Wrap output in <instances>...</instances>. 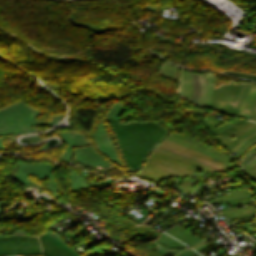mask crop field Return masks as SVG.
<instances>
[{
    "label": "crop field",
    "mask_w": 256,
    "mask_h": 256,
    "mask_svg": "<svg viewBox=\"0 0 256 256\" xmlns=\"http://www.w3.org/2000/svg\"><path fill=\"white\" fill-rule=\"evenodd\" d=\"M108 120L126 164L135 171L148 151L167 133L154 122L119 125L110 116Z\"/></svg>",
    "instance_id": "obj_1"
},
{
    "label": "crop field",
    "mask_w": 256,
    "mask_h": 256,
    "mask_svg": "<svg viewBox=\"0 0 256 256\" xmlns=\"http://www.w3.org/2000/svg\"><path fill=\"white\" fill-rule=\"evenodd\" d=\"M165 140H166V141H169V140H167V139H165ZM169 142H172V141H169ZM169 142L163 141V142L161 143V145H164V146H166V147H169V148L175 149V150H177V151L186 153V154H188V155L194 156V157L199 158V159H201V160H203V161H207V162L213 164L214 166H216V167H217L218 169H220L221 171L227 169V168H226V167H227L226 165H225V166H226V167H225V166H223L224 164L222 165V164H220V163H218V162H216V161H213V160H211V159H209V158H207V157L201 155L202 153L199 154L200 152H199V153H196V152H198V151L193 152V151H195V150L191 149V150H193V151H191V150H188V149H190V148H188V147L183 146V147H185V148H188V149H185V148H183V147H180V146H182V145H180V144H177V143H175V142H172V143H174V144L180 145V146H177V145H174V144L169 143ZM158 147L163 148V147H161V146H158ZM163 149H166V148H163ZM163 149H162V150H163ZM166 150H168V149H166ZM166 150H165V151H166ZM156 151L161 152V153H164V154L169 155V156H171V157L180 159V158H178V157H175V156H173V155L167 154V153L162 152V151H160V150H157V149H156ZM156 151H154L151 156H154V157H156V158L162 159V160H164V161H167V162H169V163H172V164H174V165H177V166H179V167L188 169V170L193 171V172H195L198 167H200V168H202V169H205V170H207V171H213V170H215V169H213V168H212L213 170H210V169H207V168H205V167H202V166L196 165V164H194V163L188 162V161H186V160L180 159V160H182V161H185V162H188V163H191V164H193V165L198 166V167H196V166H193V165H191V164H188V163L179 161V160H177V159L171 158V157H169V156L163 155V154L158 153V152H156ZM169 151H171V150H169ZM169 151H168V152H169ZM172 152H174V151H172ZM172 152H170V153H172ZM174 153H176V152H174ZM174 153H173V154H174ZM177 154H179V153H177ZM177 154H176V155H177ZM179 155H181V154H179ZM179 155H178V156H179ZM204 155H205V154H204ZM151 156L149 157V159H148L146 165L143 167V169L137 174V176H139V177H141V178H143V179H146V180L158 182V181H160V180H162V179H164V178H166V177H179V176H185V175H191V174H193V172H190V171H187V170H185V169L179 168V167H177V166H174V165L169 164V163H167V162H164V161H161V160H159V159L153 158V157H151ZM181 156H184V155H181ZM206 156H208V155H206ZM184 157H186V156H184ZM184 157H183V158H184ZM208 157H210V156H208ZM186 158H189V157H186ZM186 158H185V159H186ZM210 158H212V157H210ZM189 159H192V158H189ZM189 159H188V160H189ZM212 159H213V158H212ZM192 160H194V159H192ZM192 160H190V161H192ZM214 160H215V159H214ZM195 161H197V160H195ZM195 161H192V162H195ZM198 162H199V161H198ZM198 162H195V163H198ZM198 164H200V163H198ZM201 165H202V164H201ZM210 168H211V167H210ZM215 171H217V170H215Z\"/></svg>",
    "instance_id": "obj_2"
},
{
    "label": "crop field",
    "mask_w": 256,
    "mask_h": 256,
    "mask_svg": "<svg viewBox=\"0 0 256 256\" xmlns=\"http://www.w3.org/2000/svg\"><path fill=\"white\" fill-rule=\"evenodd\" d=\"M213 84L214 74L207 73V107L231 114L246 83L238 85L230 81L229 84L222 83L215 88Z\"/></svg>",
    "instance_id": "obj_3"
},
{
    "label": "crop field",
    "mask_w": 256,
    "mask_h": 256,
    "mask_svg": "<svg viewBox=\"0 0 256 256\" xmlns=\"http://www.w3.org/2000/svg\"><path fill=\"white\" fill-rule=\"evenodd\" d=\"M38 240L37 237H0V241ZM42 254L38 241L0 242V256Z\"/></svg>",
    "instance_id": "obj_4"
},
{
    "label": "crop field",
    "mask_w": 256,
    "mask_h": 256,
    "mask_svg": "<svg viewBox=\"0 0 256 256\" xmlns=\"http://www.w3.org/2000/svg\"><path fill=\"white\" fill-rule=\"evenodd\" d=\"M247 121H243V120H239V121H237V122H235L233 125H231L230 127H228L226 130H224L223 132H221L220 134H218L217 136H215L214 138H216V139H221L224 135L225 136H227V135H229L231 132H233L234 130H236L237 128H239L240 126H242L243 124H245ZM256 124H254V123H251V122H248V123H246L245 125H243L242 127H240L239 129H237L236 131H234L232 134H230V135H233V136H235V137H238V136H240L241 134H243L245 131H247V130H249L250 128H252L253 126H255ZM256 128V126L255 127H253L252 129H250L249 131H247V132H245L243 135H241L240 137H242V136H244V135H246V134H248V133H250L251 131H253L254 129ZM254 132H256V130H254L253 132H251V133H254ZM250 133V134H251ZM229 135V136H230ZM249 135V134H248ZM229 136H227V137H225V138H222L220 141L222 142V143H224L225 145L226 144H228V143H230L231 141H233L234 139H232L231 137H229ZM247 136V135H246ZM239 137V138H240ZM245 137V136H244ZM239 138H237V139H239ZM243 138V137H242ZM242 138H240L239 140H237V139H235L233 142H235L236 140V142L235 143H230V144H228V145H226V146H229V145H231V146H229L228 147V150H230L231 148H233V146L235 145V144H237Z\"/></svg>",
    "instance_id": "obj_5"
},
{
    "label": "crop field",
    "mask_w": 256,
    "mask_h": 256,
    "mask_svg": "<svg viewBox=\"0 0 256 256\" xmlns=\"http://www.w3.org/2000/svg\"><path fill=\"white\" fill-rule=\"evenodd\" d=\"M41 236L44 237L45 239L51 241L52 243L56 244L57 246L63 248L64 250L68 251L69 253H71L75 256H78L72 250H70L69 248L64 246L62 244V242L59 240V238L54 236L53 234L47 232ZM42 237L39 236L44 255H46V256H73V255L69 254L68 252L62 250L61 248L57 247L56 245L45 240Z\"/></svg>",
    "instance_id": "obj_6"
},
{
    "label": "crop field",
    "mask_w": 256,
    "mask_h": 256,
    "mask_svg": "<svg viewBox=\"0 0 256 256\" xmlns=\"http://www.w3.org/2000/svg\"><path fill=\"white\" fill-rule=\"evenodd\" d=\"M192 80H193V95H192L191 73H188L182 70L179 78L180 85L177 93L180 95L186 96L188 98H190V96L192 95L191 103L195 104V80H194L193 73H192Z\"/></svg>",
    "instance_id": "obj_7"
},
{
    "label": "crop field",
    "mask_w": 256,
    "mask_h": 256,
    "mask_svg": "<svg viewBox=\"0 0 256 256\" xmlns=\"http://www.w3.org/2000/svg\"><path fill=\"white\" fill-rule=\"evenodd\" d=\"M165 232L172 235L173 237L183 241L187 245H190L199 240V239H197L198 237L197 238L194 237L193 235H191L184 229L178 227L177 225L165 230Z\"/></svg>",
    "instance_id": "obj_8"
},
{
    "label": "crop field",
    "mask_w": 256,
    "mask_h": 256,
    "mask_svg": "<svg viewBox=\"0 0 256 256\" xmlns=\"http://www.w3.org/2000/svg\"><path fill=\"white\" fill-rule=\"evenodd\" d=\"M171 136L176 137V138H178V139H181V140H183V141L189 142V143H191V144L197 145V146H199V147L205 148V149H207V150H209V151H211V152H213V153H215V154H217V155H219V156L225 158V159H226L227 161H229V162L233 160V159H231L230 157L226 156L225 154H223V153H221V152H219V151H217V150H215V149H213V148H211V147H209V146H206V145H204V144H201V143H199V142L196 141V140H193V139H191V138H188V137H186V136H183V135H181V134H178V133L173 132V133L171 134Z\"/></svg>",
    "instance_id": "obj_9"
},
{
    "label": "crop field",
    "mask_w": 256,
    "mask_h": 256,
    "mask_svg": "<svg viewBox=\"0 0 256 256\" xmlns=\"http://www.w3.org/2000/svg\"><path fill=\"white\" fill-rule=\"evenodd\" d=\"M156 241H158L159 243L163 244L164 246H166L167 248L171 249L173 247H177V248H184L186 245L180 243L179 241L173 239L172 237L164 234V233H160L159 237L156 239Z\"/></svg>",
    "instance_id": "obj_10"
},
{
    "label": "crop field",
    "mask_w": 256,
    "mask_h": 256,
    "mask_svg": "<svg viewBox=\"0 0 256 256\" xmlns=\"http://www.w3.org/2000/svg\"><path fill=\"white\" fill-rule=\"evenodd\" d=\"M231 194L220 196L218 198H215L213 200H209L212 204L222 202L227 199H234V198H242V197H249L251 196L249 191L247 189L244 190H238V191H232Z\"/></svg>",
    "instance_id": "obj_11"
},
{
    "label": "crop field",
    "mask_w": 256,
    "mask_h": 256,
    "mask_svg": "<svg viewBox=\"0 0 256 256\" xmlns=\"http://www.w3.org/2000/svg\"><path fill=\"white\" fill-rule=\"evenodd\" d=\"M204 122H205L206 128L211 130L212 128H214L215 125L219 124L222 121L221 120H217V119H213V118H208V119L204 120ZM229 125H231V123L227 122V123H224V124H222V125H220L218 127H215L211 131H213V132L218 134L219 132H221L223 129H225Z\"/></svg>",
    "instance_id": "obj_12"
},
{
    "label": "crop field",
    "mask_w": 256,
    "mask_h": 256,
    "mask_svg": "<svg viewBox=\"0 0 256 256\" xmlns=\"http://www.w3.org/2000/svg\"><path fill=\"white\" fill-rule=\"evenodd\" d=\"M167 139L172 140V141H175V142L180 143V144H182V145L188 146V147H190V148L197 149V150L202 151V152L205 151V150L202 149V148H199V147L193 146V145H191V144H188V143H186V142L180 141V140H178V139H176V138H173V137H171V136L167 137ZM205 153L207 154L208 151H206ZM208 155H210V156H212V157H214V158L218 157V156H216V155H214V154H212V153H210V152L208 153ZM216 159L219 160V161H221V162H223V163H225V164H226L227 166H229L230 168L234 167V166L230 165L227 161H225L224 159H222L221 157H218V158H216Z\"/></svg>",
    "instance_id": "obj_13"
},
{
    "label": "crop field",
    "mask_w": 256,
    "mask_h": 256,
    "mask_svg": "<svg viewBox=\"0 0 256 256\" xmlns=\"http://www.w3.org/2000/svg\"><path fill=\"white\" fill-rule=\"evenodd\" d=\"M255 209L256 208L244 209V210H238V211H229V212L224 213V214L226 216H230V215H233V214L243 213L241 215L228 217L230 220H234V219H238V218H241V217L254 215Z\"/></svg>",
    "instance_id": "obj_14"
},
{
    "label": "crop field",
    "mask_w": 256,
    "mask_h": 256,
    "mask_svg": "<svg viewBox=\"0 0 256 256\" xmlns=\"http://www.w3.org/2000/svg\"><path fill=\"white\" fill-rule=\"evenodd\" d=\"M177 69H178L177 67H174V66H171L168 64H164L163 69L161 71V75H164L166 77L173 79Z\"/></svg>",
    "instance_id": "obj_15"
},
{
    "label": "crop field",
    "mask_w": 256,
    "mask_h": 256,
    "mask_svg": "<svg viewBox=\"0 0 256 256\" xmlns=\"http://www.w3.org/2000/svg\"><path fill=\"white\" fill-rule=\"evenodd\" d=\"M200 96H199V103L203 105V74H200ZM204 106L206 107V85H205V73H204Z\"/></svg>",
    "instance_id": "obj_16"
},
{
    "label": "crop field",
    "mask_w": 256,
    "mask_h": 256,
    "mask_svg": "<svg viewBox=\"0 0 256 256\" xmlns=\"http://www.w3.org/2000/svg\"><path fill=\"white\" fill-rule=\"evenodd\" d=\"M250 86H251V84H249V83L246 84L244 92H243V94H242V96H241V98H240V100H239V102H238L234 112H233L234 115H237V113H238V111H239V109H240V107H241V105H242V103H243V101H244L248 91H249Z\"/></svg>",
    "instance_id": "obj_17"
},
{
    "label": "crop field",
    "mask_w": 256,
    "mask_h": 256,
    "mask_svg": "<svg viewBox=\"0 0 256 256\" xmlns=\"http://www.w3.org/2000/svg\"><path fill=\"white\" fill-rule=\"evenodd\" d=\"M255 96H256V86H255V88H254V90H253V92H252V94H251V96H250V98H249V100H248V102H247V104H246V106L244 108V111H243L241 116H244V117L246 116V114H247V112H248V110H249V108H250V106H251Z\"/></svg>",
    "instance_id": "obj_18"
},
{
    "label": "crop field",
    "mask_w": 256,
    "mask_h": 256,
    "mask_svg": "<svg viewBox=\"0 0 256 256\" xmlns=\"http://www.w3.org/2000/svg\"><path fill=\"white\" fill-rule=\"evenodd\" d=\"M228 71H230V70H228ZM228 71H224V70H223L222 72L227 73V74H232V75L241 76V77L248 78V79H251V80L256 81V79L246 77V76H249V75H252V74L246 75V74H242V73H239V72H236V71H231V72L239 73V74H242V75H246V76H242V75H238V74L231 73V72H228ZM253 76H256V75H253ZM253 76H250V77H253ZM254 78H256V77H254Z\"/></svg>",
    "instance_id": "obj_19"
},
{
    "label": "crop field",
    "mask_w": 256,
    "mask_h": 256,
    "mask_svg": "<svg viewBox=\"0 0 256 256\" xmlns=\"http://www.w3.org/2000/svg\"><path fill=\"white\" fill-rule=\"evenodd\" d=\"M256 143V139L249 143L246 147H244L238 154L235 155V157H239L241 154H243L251 145Z\"/></svg>",
    "instance_id": "obj_20"
},
{
    "label": "crop field",
    "mask_w": 256,
    "mask_h": 256,
    "mask_svg": "<svg viewBox=\"0 0 256 256\" xmlns=\"http://www.w3.org/2000/svg\"><path fill=\"white\" fill-rule=\"evenodd\" d=\"M195 79H196V102H198V96H199V79L197 77V74H195Z\"/></svg>",
    "instance_id": "obj_21"
},
{
    "label": "crop field",
    "mask_w": 256,
    "mask_h": 256,
    "mask_svg": "<svg viewBox=\"0 0 256 256\" xmlns=\"http://www.w3.org/2000/svg\"><path fill=\"white\" fill-rule=\"evenodd\" d=\"M255 138H256V135L253 136V137H251V138L248 139L247 141H245L239 148H237V150H236L235 152L238 153V151H239L240 149H242L245 145H247L249 142H251V141L254 140Z\"/></svg>",
    "instance_id": "obj_22"
},
{
    "label": "crop field",
    "mask_w": 256,
    "mask_h": 256,
    "mask_svg": "<svg viewBox=\"0 0 256 256\" xmlns=\"http://www.w3.org/2000/svg\"><path fill=\"white\" fill-rule=\"evenodd\" d=\"M253 87H254V84L252 85V87H251V89H250V91H249V93H248V95H247V97H246V99H245V101H244V104H243V106H242V108H241V110H240V112H239V116L241 115V113H242V111H243V108H244V106H245V104H246V102H247V100H248V98H249V96H250V94H251V91H252V89H253Z\"/></svg>",
    "instance_id": "obj_23"
},
{
    "label": "crop field",
    "mask_w": 256,
    "mask_h": 256,
    "mask_svg": "<svg viewBox=\"0 0 256 256\" xmlns=\"http://www.w3.org/2000/svg\"><path fill=\"white\" fill-rule=\"evenodd\" d=\"M256 133H254V134H251V135H249L248 137H246V138H244V139H242L232 150H230V151H234L240 144H242L243 143V141L244 140H246V139H248V138H250L251 136H253V135H255Z\"/></svg>",
    "instance_id": "obj_24"
},
{
    "label": "crop field",
    "mask_w": 256,
    "mask_h": 256,
    "mask_svg": "<svg viewBox=\"0 0 256 256\" xmlns=\"http://www.w3.org/2000/svg\"><path fill=\"white\" fill-rule=\"evenodd\" d=\"M253 147L256 148V145H254ZM252 151H254V148L251 147L244 155L247 156V155H249ZM244 155L241 157V159H240L241 161L246 157V156H244Z\"/></svg>",
    "instance_id": "obj_25"
},
{
    "label": "crop field",
    "mask_w": 256,
    "mask_h": 256,
    "mask_svg": "<svg viewBox=\"0 0 256 256\" xmlns=\"http://www.w3.org/2000/svg\"><path fill=\"white\" fill-rule=\"evenodd\" d=\"M256 169V163L253 164L252 166H250L248 169H246L245 171L249 174L251 173L252 171H254Z\"/></svg>",
    "instance_id": "obj_26"
},
{
    "label": "crop field",
    "mask_w": 256,
    "mask_h": 256,
    "mask_svg": "<svg viewBox=\"0 0 256 256\" xmlns=\"http://www.w3.org/2000/svg\"><path fill=\"white\" fill-rule=\"evenodd\" d=\"M202 244H204V242L199 241V242H197L196 244H193V245H190V246L194 249V248H196V247H198V246H200V245H202Z\"/></svg>",
    "instance_id": "obj_27"
},
{
    "label": "crop field",
    "mask_w": 256,
    "mask_h": 256,
    "mask_svg": "<svg viewBox=\"0 0 256 256\" xmlns=\"http://www.w3.org/2000/svg\"><path fill=\"white\" fill-rule=\"evenodd\" d=\"M255 117H256V106H255V108H254V111H253V113H252V115L250 116V119H255Z\"/></svg>",
    "instance_id": "obj_28"
},
{
    "label": "crop field",
    "mask_w": 256,
    "mask_h": 256,
    "mask_svg": "<svg viewBox=\"0 0 256 256\" xmlns=\"http://www.w3.org/2000/svg\"><path fill=\"white\" fill-rule=\"evenodd\" d=\"M256 158V155L253 157V158H251L249 161H247L246 163H244L243 165H242V168L244 167V166H246L248 163H250L252 160H254Z\"/></svg>",
    "instance_id": "obj_29"
},
{
    "label": "crop field",
    "mask_w": 256,
    "mask_h": 256,
    "mask_svg": "<svg viewBox=\"0 0 256 256\" xmlns=\"http://www.w3.org/2000/svg\"><path fill=\"white\" fill-rule=\"evenodd\" d=\"M249 176L253 177L254 179H256V170L254 172H252L251 174H249Z\"/></svg>",
    "instance_id": "obj_30"
},
{
    "label": "crop field",
    "mask_w": 256,
    "mask_h": 256,
    "mask_svg": "<svg viewBox=\"0 0 256 256\" xmlns=\"http://www.w3.org/2000/svg\"><path fill=\"white\" fill-rule=\"evenodd\" d=\"M184 252H186L188 255H190V256H194L193 254H191L189 251H187L186 249L185 250H183Z\"/></svg>",
    "instance_id": "obj_31"
},
{
    "label": "crop field",
    "mask_w": 256,
    "mask_h": 256,
    "mask_svg": "<svg viewBox=\"0 0 256 256\" xmlns=\"http://www.w3.org/2000/svg\"><path fill=\"white\" fill-rule=\"evenodd\" d=\"M254 162H256V159L254 161H252L250 164H248L245 168L243 169H246L247 167H249L251 164H253Z\"/></svg>",
    "instance_id": "obj_32"
},
{
    "label": "crop field",
    "mask_w": 256,
    "mask_h": 256,
    "mask_svg": "<svg viewBox=\"0 0 256 256\" xmlns=\"http://www.w3.org/2000/svg\"><path fill=\"white\" fill-rule=\"evenodd\" d=\"M188 250H190L192 253H194L195 255L197 254L196 252H194L191 248H189Z\"/></svg>",
    "instance_id": "obj_33"
},
{
    "label": "crop field",
    "mask_w": 256,
    "mask_h": 256,
    "mask_svg": "<svg viewBox=\"0 0 256 256\" xmlns=\"http://www.w3.org/2000/svg\"><path fill=\"white\" fill-rule=\"evenodd\" d=\"M202 184H204V183H202ZM202 184L198 183L197 186L202 185ZM197 186H196V187H197ZM196 187H194V189H195ZM194 189H193V190H194ZM193 190H192V191H193ZM192 191H191V192H192Z\"/></svg>",
    "instance_id": "obj_34"
},
{
    "label": "crop field",
    "mask_w": 256,
    "mask_h": 256,
    "mask_svg": "<svg viewBox=\"0 0 256 256\" xmlns=\"http://www.w3.org/2000/svg\"><path fill=\"white\" fill-rule=\"evenodd\" d=\"M180 254H182L183 256H186V255H185V254H183L182 252H181Z\"/></svg>",
    "instance_id": "obj_35"
},
{
    "label": "crop field",
    "mask_w": 256,
    "mask_h": 256,
    "mask_svg": "<svg viewBox=\"0 0 256 256\" xmlns=\"http://www.w3.org/2000/svg\"><path fill=\"white\" fill-rule=\"evenodd\" d=\"M177 256H180L179 254H177Z\"/></svg>",
    "instance_id": "obj_36"
},
{
    "label": "crop field",
    "mask_w": 256,
    "mask_h": 256,
    "mask_svg": "<svg viewBox=\"0 0 256 256\" xmlns=\"http://www.w3.org/2000/svg\"><path fill=\"white\" fill-rule=\"evenodd\" d=\"M205 171V170H204ZM207 172V171H206Z\"/></svg>",
    "instance_id": "obj_37"
},
{
    "label": "crop field",
    "mask_w": 256,
    "mask_h": 256,
    "mask_svg": "<svg viewBox=\"0 0 256 256\" xmlns=\"http://www.w3.org/2000/svg\"><path fill=\"white\" fill-rule=\"evenodd\" d=\"M256 191V190H255Z\"/></svg>",
    "instance_id": "obj_38"
}]
</instances>
